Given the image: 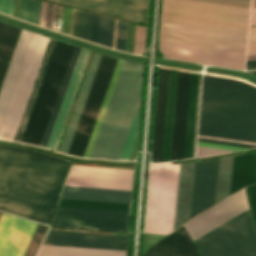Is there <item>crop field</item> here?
<instances>
[{
	"label": "crop field",
	"instance_id": "8a807250",
	"mask_svg": "<svg viewBox=\"0 0 256 256\" xmlns=\"http://www.w3.org/2000/svg\"><path fill=\"white\" fill-rule=\"evenodd\" d=\"M69 162L0 146V210L49 223Z\"/></svg>",
	"mask_w": 256,
	"mask_h": 256
},
{
	"label": "crop field",
	"instance_id": "ac0d7876",
	"mask_svg": "<svg viewBox=\"0 0 256 256\" xmlns=\"http://www.w3.org/2000/svg\"><path fill=\"white\" fill-rule=\"evenodd\" d=\"M250 9L163 0L160 40L245 52Z\"/></svg>",
	"mask_w": 256,
	"mask_h": 256
},
{
	"label": "crop field",
	"instance_id": "34b2d1b8",
	"mask_svg": "<svg viewBox=\"0 0 256 256\" xmlns=\"http://www.w3.org/2000/svg\"><path fill=\"white\" fill-rule=\"evenodd\" d=\"M198 134L256 142V88L203 77Z\"/></svg>",
	"mask_w": 256,
	"mask_h": 256
},
{
	"label": "crop field",
	"instance_id": "412701ff",
	"mask_svg": "<svg viewBox=\"0 0 256 256\" xmlns=\"http://www.w3.org/2000/svg\"><path fill=\"white\" fill-rule=\"evenodd\" d=\"M143 64L124 61L90 157L117 159L140 97Z\"/></svg>",
	"mask_w": 256,
	"mask_h": 256
},
{
	"label": "crop field",
	"instance_id": "f4fd0767",
	"mask_svg": "<svg viewBox=\"0 0 256 256\" xmlns=\"http://www.w3.org/2000/svg\"><path fill=\"white\" fill-rule=\"evenodd\" d=\"M180 164H150L145 232L173 231Z\"/></svg>",
	"mask_w": 256,
	"mask_h": 256
},
{
	"label": "crop field",
	"instance_id": "dd49c442",
	"mask_svg": "<svg viewBox=\"0 0 256 256\" xmlns=\"http://www.w3.org/2000/svg\"><path fill=\"white\" fill-rule=\"evenodd\" d=\"M74 48L56 42L21 141L40 144Z\"/></svg>",
	"mask_w": 256,
	"mask_h": 256
},
{
	"label": "crop field",
	"instance_id": "e52e79f7",
	"mask_svg": "<svg viewBox=\"0 0 256 256\" xmlns=\"http://www.w3.org/2000/svg\"><path fill=\"white\" fill-rule=\"evenodd\" d=\"M194 242L203 256H256V236L248 210Z\"/></svg>",
	"mask_w": 256,
	"mask_h": 256
},
{
	"label": "crop field",
	"instance_id": "d8731c3e",
	"mask_svg": "<svg viewBox=\"0 0 256 256\" xmlns=\"http://www.w3.org/2000/svg\"><path fill=\"white\" fill-rule=\"evenodd\" d=\"M48 40V38L32 34L0 123L1 139H13Z\"/></svg>",
	"mask_w": 256,
	"mask_h": 256
},
{
	"label": "crop field",
	"instance_id": "5a996713",
	"mask_svg": "<svg viewBox=\"0 0 256 256\" xmlns=\"http://www.w3.org/2000/svg\"><path fill=\"white\" fill-rule=\"evenodd\" d=\"M116 61L102 56L67 153L83 156Z\"/></svg>",
	"mask_w": 256,
	"mask_h": 256
},
{
	"label": "crop field",
	"instance_id": "3316defc",
	"mask_svg": "<svg viewBox=\"0 0 256 256\" xmlns=\"http://www.w3.org/2000/svg\"><path fill=\"white\" fill-rule=\"evenodd\" d=\"M159 50L174 59L244 69L245 53L170 42H159Z\"/></svg>",
	"mask_w": 256,
	"mask_h": 256
},
{
	"label": "crop field",
	"instance_id": "28ad6ade",
	"mask_svg": "<svg viewBox=\"0 0 256 256\" xmlns=\"http://www.w3.org/2000/svg\"><path fill=\"white\" fill-rule=\"evenodd\" d=\"M147 25L149 0H47Z\"/></svg>",
	"mask_w": 256,
	"mask_h": 256
},
{
	"label": "crop field",
	"instance_id": "d1516ede",
	"mask_svg": "<svg viewBox=\"0 0 256 256\" xmlns=\"http://www.w3.org/2000/svg\"><path fill=\"white\" fill-rule=\"evenodd\" d=\"M247 208L249 206L245 190L242 189L194 217L184 226L194 241Z\"/></svg>",
	"mask_w": 256,
	"mask_h": 256
},
{
	"label": "crop field",
	"instance_id": "22f410ed",
	"mask_svg": "<svg viewBox=\"0 0 256 256\" xmlns=\"http://www.w3.org/2000/svg\"><path fill=\"white\" fill-rule=\"evenodd\" d=\"M133 171L72 166L65 185L131 190Z\"/></svg>",
	"mask_w": 256,
	"mask_h": 256
},
{
	"label": "crop field",
	"instance_id": "cbeb9de0",
	"mask_svg": "<svg viewBox=\"0 0 256 256\" xmlns=\"http://www.w3.org/2000/svg\"><path fill=\"white\" fill-rule=\"evenodd\" d=\"M219 159L195 162L190 216L214 205Z\"/></svg>",
	"mask_w": 256,
	"mask_h": 256
},
{
	"label": "crop field",
	"instance_id": "5142ce71",
	"mask_svg": "<svg viewBox=\"0 0 256 256\" xmlns=\"http://www.w3.org/2000/svg\"><path fill=\"white\" fill-rule=\"evenodd\" d=\"M43 244L126 250L127 237L49 231Z\"/></svg>",
	"mask_w": 256,
	"mask_h": 256
},
{
	"label": "crop field",
	"instance_id": "d9b57169",
	"mask_svg": "<svg viewBox=\"0 0 256 256\" xmlns=\"http://www.w3.org/2000/svg\"><path fill=\"white\" fill-rule=\"evenodd\" d=\"M191 73L179 72L171 160L183 159Z\"/></svg>",
	"mask_w": 256,
	"mask_h": 256
},
{
	"label": "crop field",
	"instance_id": "733c2abd",
	"mask_svg": "<svg viewBox=\"0 0 256 256\" xmlns=\"http://www.w3.org/2000/svg\"><path fill=\"white\" fill-rule=\"evenodd\" d=\"M169 70L158 69L151 162L161 161Z\"/></svg>",
	"mask_w": 256,
	"mask_h": 256
},
{
	"label": "crop field",
	"instance_id": "4a817a6b",
	"mask_svg": "<svg viewBox=\"0 0 256 256\" xmlns=\"http://www.w3.org/2000/svg\"><path fill=\"white\" fill-rule=\"evenodd\" d=\"M89 51L80 50L79 56L77 58L72 76L70 78L65 96L63 98L58 116L56 118L51 136L49 138L47 147L56 149L58 140L60 138L67 114L69 112L75 91L77 89L84 65L86 63L87 57H88Z\"/></svg>",
	"mask_w": 256,
	"mask_h": 256
},
{
	"label": "crop field",
	"instance_id": "bc2a9ffb",
	"mask_svg": "<svg viewBox=\"0 0 256 256\" xmlns=\"http://www.w3.org/2000/svg\"><path fill=\"white\" fill-rule=\"evenodd\" d=\"M144 256H199L183 226L160 240Z\"/></svg>",
	"mask_w": 256,
	"mask_h": 256
},
{
	"label": "crop field",
	"instance_id": "214f88e0",
	"mask_svg": "<svg viewBox=\"0 0 256 256\" xmlns=\"http://www.w3.org/2000/svg\"><path fill=\"white\" fill-rule=\"evenodd\" d=\"M131 191L65 186L61 198L129 203Z\"/></svg>",
	"mask_w": 256,
	"mask_h": 256
},
{
	"label": "crop field",
	"instance_id": "92a150f3",
	"mask_svg": "<svg viewBox=\"0 0 256 256\" xmlns=\"http://www.w3.org/2000/svg\"><path fill=\"white\" fill-rule=\"evenodd\" d=\"M31 32L21 31L10 65L8 67L4 82L0 90V120L8 101L12 86L19 70L26 47L31 37Z\"/></svg>",
	"mask_w": 256,
	"mask_h": 256
},
{
	"label": "crop field",
	"instance_id": "dafd665d",
	"mask_svg": "<svg viewBox=\"0 0 256 256\" xmlns=\"http://www.w3.org/2000/svg\"><path fill=\"white\" fill-rule=\"evenodd\" d=\"M101 56L102 55H100V54H96V53L93 54L92 60L90 62L86 77L84 79V82H83V85H82V88H81V91H80V94L78 96L75 108L73 110L69 125L67 127L63 142H62L60 150H59L61 152H65V153L67 152V149L69 147L71 138L73 136L75 127L77 125L79 116L81 114L83 105L85 103L87 94L89 92L91 83L93 81L95 72L97 70L99 61L101 59Z\"/></svg>",
	"mask_w": 256,
	"mask_h": 256
},
{
	"label": "crop field",
	"instance_id": "00972430",
	"mask_svg": "<svg viewBox=\"0 0 256 256\" xmlns=\"http://www.w3.org/2000/svg\"><path fill=\"white\" fill-rule=\"evenodd\" d=\"M194 162L181 164L174 229L188 221Z\"/></svg>",
	"mask_w": 256,
	"mask_h": 256
},
{
	"label": "crop field",
	"instance_id": "a9b5d70f",
	"mask_svg": "<svg viewBox=\"0 0 256 256\" xmlns=\"http://www.w3.org/2000/svg\"><path fill=\"white\" fill-rule=\"evenodd\" d=\"M255 182L256 152L234 156L230 195Z\"/></svg>",
	"mask_w": 256,
	"mask_h": 256
},
{
	"label": "crop field",
	"instance_id": "4177f3b9",
	"mask_svg": "<svg viewBox=\"0 0 256 256\" xmlns=\"http://www.w3.org/2000/svg\"><path fill=\"white\" fill-rule=\"evenodd\" d=\"M37 225L20 218L2 256H23Z\"/></svg>",
	"mask_w": 256,
	"mask_h": 256
},
{
	"label": "crop field",
	"instance_id": "730fd06b",
	"mask_svg": "<svg viewBox=\"0 0 256 256\" xmlns=\"http://www.w3.org/2000/svg\"><path fill=\"white\" fill-rule=\"evenodd\" d=\"M178 72L170 70L162 161L170 160Z\"/></svg>",
	"mask_w": 256,
	"mask_h": 256
},
{
	"label": "crop field",
	"instance_id": "eef30255",
	"mask_svg": "<svg viewBox=\"0 0 256 256\" xmlns=\"http://www.w3.org/2000/svg\"><path fill=\"white\" fill-rule=\"evenodd\" d=\"M40 5H41V2H39V1L21 0L20 1L19 18L38 24ZM41 7H42V5H41ZM46 9H47V3L43 2L42 20H41V25H43V26H45V21H46ZM49 9H50V4L48 3L46 27H48ZM55 9H56V5L51 4L50 22H49L50 28H53L52 21H54ZM56 11H57V9H56ZM60 12H61V7L58 6L56 27H57V23H58V18H60ZM40 19H41V13H40ZM55 21H56V17H55ZM39 24H40V21H39Z\"/></svg>",
	"mask_w": 256,
	"mask_h": 256
},
{
	"label": "crop field",
	"instance_id": "ae1a2a85",
	"mask_svg": "<svg viewBox=\"0 0 256 256\" xmlns=\"http://www.w3.org/2000/svg\"><path fill=\"white\" fill-rule=\"evenodd\" d=\"M55 42H56L55 40H51V39L49 40V43H48V45H47L45 54H44V56H43L41 65H40V67H39L37 76H36V78H35V81H34L32 90H31V92H30L28 101H27V103H26L24 112H23V114H22L20 123H19V125H18L16 134H15L13 140H18V141L21 140L22 134H23V132H24V129H25L27 120H28V118H29V115H30L32 106H33V104H34V101H35L37 92H38V90H39V87H40L42 78H43V76H44V73H45L47 64H48V62H49V59H50L52 50H53V48H54Z\"/></svg>",
	"mask_w": 256,
	"mask_h": 256
},
{
	"label": "crop field",
	"instance_id": "d3111659",
	"mask_svg": "<svg viewBox=\"0 0 256 256\" xmlns=\"http://www.w3.org/2000/svg\"><path fill=\"white\" fill-rule=\"evenodd\" d=\"M126 251L43 245L38 256H125Z\"/></svg>",
	"mask_w": 256,
	"mask_h": 256
},
{
	"label": "crop field",
	"instance_id": "750c4746",
	"mask_svg": "<svg viewBox=\"0 0 256 256\" xmlns=\"http://www.w3.org/2000/svg\"><path fill=\"white\" fill-rule=\"evenodd\" d=\"M54 216L127 222L128 213L58 207Z\"/></svg>",
	"mask_w": 256,
	"mask_h": 256
},
{
	"label": "crop field",
	"instance_id": "bd1437ed",
	"mask_svg": "<svg viewBox=\"0 0 256 256\" xmlns=\"http://www.w3.org/2000/svg\"><path fill=\"white\" fill-rule=\"evenodd\" d=\"M198 83L199 74L192 73L184 159L192 158L193 153Z\"/></svg>",
	"mask_w": 256,
	"mask_h": 256
},
{
	"label": "crop field",
	"instance_id": "1d83c4d3",
	"mask_svg": "<svg viewBox=\"0 0 256 256\" xmlns=\"http://www.w3.org/2000/svg\"><path fill=\"white\" fill-rule=\"evenodd\" d=\"M100 16L78 11L75 36L97 43Z\"/></svg>",
	"mask_w": 256,
	"mask_h": 256
},
{
	"label": "crop field",
	"instance_id": "120bbe31",
	"mask_svg": "<svg viewBox=\"0 0 256 256\" xmlns=\"http://www.w3.org/2000/svg\"><path fill=\"white\" fill-rule=\"evenodd\" d=\"M126 224L121 222L54 217L51 225L126 231Z\"/></svg>",
	"mask_w": 256,
	"mask_h": 256
},
{
	"label": "crop field",
	"instance_id": "d32e631a",
	"mask_svg": "<svg viewBox=\"0 0 256 256\" xmlns=\"http://www.w3.org/2000/svg\"><path fill=\"white\" fill-rule=\"evenodd\" d=\"M18 30V28L0 21V82Z\"/></svg>",
	"mask_w": 256,
	"mask_h": 256
},
{
	"label": "crop field",
	"instance_id": "5866460e",
	"mask_svg": "<svg viewBox=\"0 0 256 256\" xmlns=\"http://www.w3.org/2000/svg\"><path fill=\"white\" fill-rule=\"evenodd\" d=\"M122 62H123L122 60H118V61H117L116 67H115V69H114V72H113L111 81H110V83H109V86H108L106 95H105V97H104V100H103L101 109H100V111H99V114H98L96 123H95V125H94L93 131H92V134H91V137H90V139H89V142H88V145H87V148H86V151H85L83 157H89V156H90L91 150H92V148H93V145H94V142H95V139H96L98 130H99V128H100V125H101V122H102V119H103L105 110H106V108H107V105H108V102H109V99H110L112 90H113V88H114V85H115V82H116V79H117L119 70H120V68H121Z\"/></svg>",
	"mask_w": 256,
	"mask_h": 256
},
{
	"label": "crop field",
	"instance_id": "028f5c9d",
	"mask_svg": "<svg viewBox=\"0 0 256 256\" xmlns=\"http://www.w3.org/2000/svg\"><path fill=\"white\" fill-rule=\"evenodd\" d=\"M233 156L220 159L215 203L229 196Z\"/></svg>",
	"mask_w": 256,
	"mask_h": 256
},
{
	"label": "crop field",
	"instance_id": "e1f06a70",
	"mask_svg": "<svg viewBox=\"0 0 256 256\" xmlns=\"http://www.w3.org/2000/svg\"><path fill=\"white\" fill-rule=\"evenodd\" d=\"M58 206L111 210V211H129V204L123 203H109V202H95V201H81V200H67L61 199Z\"/></svg>",
	"mask_w": 256,
	"mask_h": 256
},
{
	"label": "crop field",
	"instance_id": "0bd39190",
	"mask_svg": "<svg viewBox=\"0 0 256 256\" xmlns=\"http://www.w3.org/2000/svg\"><path fill=\"white\" fill-rule=\"evenodd\" d=\"M79 50H80V47H77V46H76L75 51H74L73 56H72V59H71V62H70V64H69L67 73H66V75H65L63 84H62V86H61L59 95H58V97H57L55 106H54V108H53L51 117H50V119H49L47 128H46V130H45L43 139H42V141H41V144H40V145H42V146H46L47 140H48V138H49V135H50V132H51L53 123H54V121H55V118H56V115H57V112H58V109H59V106H60V104H61V101H62L64 92H65V90H66V87H67V84H68L70 75H71V73H72V70H73V67H74L76 58H77V56H78Z\"/></svg>",
	"mask_w": 256,
	"mask_h": 256
},
{
	"label": "crop field",
	"instance_id": "b80d0937",
	"mask_svg": "<svg viewBox=\"0 0 256 256\" xmlns=\"http://www.w3.org/2000/svg\"><path fill=\"white\" fill-rule=\"evenodd\" d=\"M139 102L118 159H128L139 129Z\"/></svg>",
	"mask_w": 256,
	"mask_h": 256
},
{
	"label": "crop field",
	"instance_id": "c035e120",
	"mask_svg": "<svg viewBox=\"0 0 256 256\" xmlns=\"http://www.w3.org/2000/svg\"><path fill=\"white\" fill-rule=\"evenodd\" d=\"M18 219V217L4 213L0 220V256L4 251Z\"/></svg>",
	"mask_w": 256,
	"mask_h": 256
},
{
	"label": "crop field",
	"instance_id": "c21b1889",
	"mask_svg": "<svg viewBox=\"0 0 256 256\" xmlns=\"http://www.w3.org/2000/svg\"><path fill=\"white\" fill-rule=\"evenodd\" d=\"M114 24H115L114 19H110V18L101 16L99 39H98L99 44H103V45L112 47Z\"/></svg>",
	"mask_w": 256,
	"mask_h": 256
},
{
	"label": "crop field",
	"instance_id": "03da06ac",
	"mask_svg": "<svg viewBox=\"0 0 256 256\" xmlns=\"http://www.w3.org/2000/svg\"><path fill=\"white\" fill-rule=\"evenodd\" d=\"M47 226L39 224L24 256H33Z\"/></svg>",
	"mask_w": 256,
	"mask_h": 256
},
{
	"label": "crop field",
	"instance_id": "b54c1fbb",
	"mask_svg": "<svg viewBox=\"0 0 256 256\" xmlns=\"http://www.w3.org/2000/svg\"><path fill=\"white\" fill-rule=\"evenodd\" d=\"M127 23L118 20L115 48L125 51Z\"/></svg>",
	"mask_w": 256,
	"mask_h": 256
},
{
	"label": "crop field",
	"instance_id": "5d738f31",
	"mask_svg": "<svg viewBox=\"0 0 256 256\" xmlns=\"http://www.w3.org/2000/svg\"><path fill=\"white\" fill-rule=\"evenodd\" d=\"M229 151H232V150H224V149H216V148L197 146L196 156L197 157L208 156V155H214V154H219V153H224V152H229Z\"/></svg>",
	"mask_w": 256,
	"mask_h": 256
},
{
	"label": "crop field",
	"instance_id": "d23c7cc5",
	"mask_svg": "<svg viewBox=\"0 0 256 256\" xmlns=\"http://www.w3.org/2000/svg\"><path fill=\"white\" fill-rule=\"evenodd\" d=\"M200 1H207V2H214V3L250 8V0H200Z\"/></svg>",
	"mask_w": 256,
	"mask_h": 256
},
{
	"label": "crop field",
	"instance_id": "425ffa30",
	"mask_svg": "<svg viewBox=\"0 0 256 256\" xmlns=\"http://www.w3.org/2000/svg\"><path fill=\"white\" fill-rule=\"evenodd\" d=\"M256 54V26L250 27L249 47L247 55Z\"/></svg>",
	"mask_w": 256,
	"mask_h": 256
},
{
	"label": "crop field",
	"instance_id": "25e5ab78",
	"mask_svg": "<svg viewBox=\"0 0 256 256\" xmlns=\"http://www.w3.org/2000/svg\"><path fill=\"white\" fill-rule=\"evenodd\" d=\"M139 31H140V26L136 25L135 46H134V53H136V54H137V50H138ZM144 35H145V27L142 26L139 53L144 48Z\"/></svg>",
	"mask_w": 256,
	"mask_h": 256
},
{
	"label": "crop field",
	"instance_id": "73cf0c24",
	"mask_svg": "<svg viewBox=\"0 0 256 256\" xmlns=\"http://www.w3.org/2000/svg\"><path fill=\"white\" fill-rule=\"evenodd\" d=\"M248 193L250 198V203L253 211V215L256 221V184L248 186Z\"/></svg>",
	"mask_w": 256,
	"mask_h": 256
},
{
	"label": "crop field",
	"instance_id": "89e229c0",
	"mask_svg": "<svg viewBox=\"0 0 256 256\" xmlns=\"http://www.w3.org/2000/svg\"><path fill=\"white\" fill-rule=\"evenodd\" d=\"M198 141L216 143V144H224V145H231V146H238V147H246V148L255 147V145L239 144V143L224 142V141L209 140V139H201V138H198Z\"/></svg>",
	"mask_w": 256,
	"mask_h": 256
},
{
	"label": "crop field",
	"instance_id": "1f2cbd36",
	"mask_svg": "<svg viewBox=\"0 0 256 256\" xmlns=\"http://www.w3.org/2000/svg\"><path fill=\"white\" fill-rule=\"evenodd\" d=\"M13 10V0H0V11L11 14Z\"/></svg>",
	"mask_w": 256,
	"mask_h": 256
},
{
	"label": "crop field",
	"instance_id": "dbb93151",
	"mask_svg": "<svg viewBox=\"0 0 256 256\" xmlns=\"http://www.w3.org/2000/svg\"><path fill=\"white\" fill-rule=\"evenodd\" d=\"M197 145L209 146V147H217V148H225V149H233V150L246 149V148H238V147H231V146H223V145H216V144H209V143H201V142H198Z\"/></svg>",
	"mask_w": 256,
	"mask_h": 256
},
{
	"label": "crop field",
	"instance_id": "0fb4a251",
	"mask_svg": "<svg viewBox=\"0 0 256 256\" xmlns=\"http://www.w3.org/2000/svg\"><path fill=\"white\" fill-rule=\"evenodd\" d=\"M252 6H256V0H253ZM256 23V7H252L250 24Z\"/></svg>",
	"mask_w": 256,
	"mask_h": 256
},
{
	"label": "crop field",
	"instance_id": "1d79db26",
	"mask_svg": "<svg viewBox=\"0 0 256 256\" xmlns=\"http://www.w3.org/2000/svg\"><path fill=\"white\" fill-rule=\"evenodd\" d=\"M256 68V60L247 61L246 69Z\"/></svg>",
	"mask_w": 256,
	"mask_h": 256
},
{
	"label": "crop field",
	"instance_id": "9d1cf04e",
	"mask_svg": "<svg viewBox=\"0 0 256 256\" xmlns=\"http://www.w3.org/2000/svg\"><path fill=\"white\" fill-rule=\"evenodd\" d=\"M252 59H256V55L247 56V60H252Z\"/></svg>",
	"mask_w": 256,
	"mask_h": 256
},
{
	"label": "crop field",
	"instance_id": "447ae74e",
	"mask_svg": "<svg viewBox=\"0 0 256 256\" xmlns=\"http://www.w3.org/2000/svg\"><path fill=\"white\" fill-rule=\"evenodd\" d=\"M251 73H254V74H256V71H252Z\"/></svg>",
	"mask_w": 256,
	"mask_h": 256
},
{
	"label": "crop field",
	"instance_id": "0765c3eb",
	"mask_svg": "<svg viewBox=\"0 0 256 256\" xmlns=\"http://www.w3.org/2000/svg\"><path fill=\"white\" fill-rule=\"evenodd\" d=\"M2 214H3V213H2V212H0V218H1Z\"/></svg>",
	"mask_w": 256,
	"mask_h": 256
}]
</instances>
